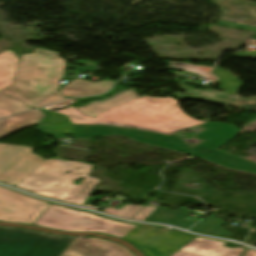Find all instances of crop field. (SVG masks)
<instances>
[{
    "label": "crop field",
    "instance_id": "1",
    "mask_svg": "<svg viewBox=\"0 0 256 256\" xmlns=\"http://www.w3.org/2000/svg\"><path fill=\"white\" fill-rule=\"evenodd\" d=\"M198 126L206 130L194 137L206 141L192 149L175 134L164 136L148 131L104 125H73V131L74 138L86 140L93 137L121 135L137 142L172 149L187 155L198 156L207 162L227 169L256 174V163L217 150L238 135L237 127L217 123H207Z\"/></svg>",
    "mask_w": 256,
    "mask_h": 256
},
{
    "label": "crop field",
    "instance_id": "2",
    "mask_svg": "<svg viewBox=\"0 0 256 256\" xmlns=\"http://www.w3.org/2000/svg\"><path fill=\"white\" fill-rule=\"evenodd\" d=\"M76 102L79 101L77 99L66 100L45 109L53 111L69 105L71 107L56 112L68 116L72 123L121 125L153 130L164 134H173L187 127L206 123L194 120L182 113L183 111L181 112L178 102L169 97L152 98L146 96L137 98L113 107L97 115L95 119L80 114L71 105Z\"/></svg>",
    "mask_w": 256,
    "mask_h": 256
},
{
    "label": "crop field",
    "instance_id": "3",
    "mask_svg": "<svg viewBox=\"0 0 256 256\" xmlns=\"http://www.w3.org/2000/svg\"><path fill=\"white\" fill-rule=\"evenodd\" d=\"M20 59L13 85L2 92L34 108L64 99L56 89L66 61L57 52L35 49L33 54H22Z\"/></svg>",
    "mask_w": 256,
    "mask_h": 256
},
{
    "label": "crop field",
    "instance_id": "4",
    "mask_svg": "<svg viewBox=\"0 0 256 256\" xmlns=\"http://www.w3.org/2000/svg\"><path fill=\"white\" fill-rule=\"evenodd\" d=\"M92 169V165L85 163L48 159L16 187L48 198L83 206L84 200L100 181L88 176ZM67 171L70 173L66 174ZM79 177L85 178L84 181L80 185L73 184ZM56 184L57 187L54 186ZM83 207L99 210L103 205L97 208L85 204Z\"/></svg>",
    "mask_w": 256,
    "mask_h": 256
},
{
    "label": "crop field",
    "instance_id": "5",
    "mask_svg": "<svg viewBox=\"0 0 256 256\" xmlns=\"http://www.w3.org/2000/svg\"><path fill=\"white\" fill-rule=\"evenodd\" d=\"M75 238L0 227V256H62Z\"/></svg>",
    "mask_w": 256,
    "mask_h": 256
},
{
    "label": "crop field",
    "instance_id": "6",
    "mask_svg": "<svg viewBox=\"0 0 256 256\" xmlns=\"http://www.w3.org/2000/svg\"><path fill=\"white\" fill-rule=\"evenodd\" d=\"M35 225L62 231L100 232L120 238L136 227L53 203L40 216Z\"/></svg>",
    "mask_w": 256,
    "mask_h": 256
},
{
    "label": "crop field",
    "instance_id": "7",
    "mask_svg": "<svg viewBox=\"0 0 256 256\" xmlns=\"http://www.w3.org/2000/svg\"><path fill=\"white\" fill-rule=\"evenodd\" d=\"M194 236L175 229L139 224L122 239L136 244L147 256H170Z\"/></svg>",
    "mask_w": 256,
    "mask_h": 256
},
{
    "label": "crop field",
    "instance_id": "8",
    "mask_svg": "<svg viewBox=\"0 0 256 256\" xmlns=\"http://www.w3.org/2000/svg\"><path fill=\"white\" fill-rule=\"evenodd\" d=\"M32 147L0 144V182L15 186L45 159Z\"/></svg>",
    "mask_w": 256,
    "mask_h": 256
},
{
    "label": "crop field",
    "instance_id": "9",
    "mask_svg": "<svg viewBox=\"0 0 256 256\" xmlns=\"http://www.w3.org/2000/svg\"><path fill=\"white\" fill-rule=\"evenodd\" d=\"M49 204L0 187V221L33 225Z\"/></svg>",
    "mask_w": 256,
    "mask_h": 256
},
{
    "label": "crop field",
    "instance_id": "10",
    "mask_svg": "<svg viewBox=\"0 0 256 256\" xmlns=\"http://www.w3.org/2000/svg\"><path fill=\"white\" fill-rule=\"evenodd\" d=\"M213 74L220 78L219 82H221V89H226L228 91L227 94L220 93L214 90H207L206 92H202L199 90L189 88L182 83H179V85L185 92L189 93L190 95L196 98L220 105L231 104L234 106H239L246 110L256 112V97L241 98L232 95L242 85L240 80L236 76L223 69H214Z\"/></svg>",
    "mask_w": 256,
    "mask_h": 256
},
{
    "label": "crop field",
    "instance_id": "11",
    "mask_svg": "<svg viewBox=\"0 0 256 256\" xmlns=\"http://www.w3.org/2000/svg\"><path fill=\"white\" fill-rule=\"evenodd\" d=\"M63 256H135L127 248L110 241L77 237Z\"/></svg>",
    "mask_w": 256,
    "mask_h": 256
},
{
    "label": "crop field",
    "instance_id": "12",
    "mask_svg": "<svg viewBox=\"0 0 256 256\" xmlns=\"http://www.w3.org/2000/svg\"><path fill=\"white\" fill-rule=\"evenodd\" d=\"M224 241L196 236L171 256H241L244 249L223 246Z\"/></svg>",
    "mask_w": 256,
    "mask_h": 256
},
{
    "label": "crop field",
    "instance_id": "13",
    "mask_svg": "<svg viewBox=\"0 0 256 256\" xmlns=\"http://www.w3.org/2000/svg\"><path fill=\"white\" fill-rule=\"evenodd\" d=\"M137 97L139 96L136 94L135 90L129 89V90L120 92L119 94L114 95L104 101H92L88 103L86 106L78 107L77 110L86 116L95 118V116L98 113Z\"/></svg>",
    "mask_w": 256,
    "mask_h": 256
},
{
    "label": "crop field",
    "instance_id": "14",
    "mask_svg": "<svg viewBox=\"0 0 256 256\" xmlns=\"http://www.w3.org/2000/svg\"><path fill=\"white\" fill-rule=\"evenodd\" d=\"M191 210L179 207L172 211L166 207H157L144 221L165 222L184 229H187L195 222L183 219Z\"/></svg>",
    "mask_w": 256,
    "mask_h": 256
},
{
    "label": "crop field",
    "instance_id": "15",
    "mask_svg": "<svg viewBox=\"0 0 256 256\" xmlns=\"http://www.w3.org/2000/svg\"><path fill=\"white\" fill-rule=\"evenodd\" d=\"M113 84V82H89L77 79L62 88L61 92L69 97H82L105 92Z\"/></svg>",
    "mask_w": 256,
    "mask_h": 256
},
{
    "label": "crop field",
    "instance_id": "16",
    "mask_svg": "<svg viewBox=\"0 0 256 256\" xmlns=\"http://www.w3.org/2000/svg\"><path fill=\"white\" fill-rule=\"evenodd\" d=\"M45 115L39 110L1 119L0 120V138L5 137L8 133L19 130L42 120Z\"/></svg>",
    "mask_w": 256,
    "mask_h": 256
},
{
    "label": "crop field",
    "instance_id": "17",
    "mask_svg": "<svg viewBox=\"0 0 256 256\" xmlns=\"http://www.w3.org/2000/svg\"><path fill=\"white\" fill-rule=\"evenodd\" d=\"M18 62V58L10 50L0 54V90L13 83Z\"/></svg>",
    "mask_w": 256,
    "mask_h": 256
},
{
    "label": "crop field",
    "instance_id": "18",
    "mask_svg": "<svg viewBox=\"0 0 256 256\" xmlns=\"http://www.w3.org/2000/svg\"><path fill=\"white\" fill-rule=\"evenodd\" d=\"M224 224L226 223L220 220L219 218L210 215L207 218L203 219L190 230L201 234H209L227 238L232 233L220 227Z\"/></svg>",
    "mask_w": 256,
    "mask_h": 256
},
{
    "label": "crop field",
    "instance_id": "19",
    "mask_svg": "<svg viewBox=\"0 0 256 256\" xmlns=\"http://www.w3.org/2000/svg\"><path fill=\"white\" fill-rule=\"evenodd\" d=\"M169 63H170L169 68L180 69L183 71L192 72V73L199 75L200 77L216 80V77L210 75V70L212 69L210 67L193 66V65L182 64V63H177V62H172V61H170Z\"/></svg>",
    "mask_w": 256,
    "mask_h": 256
},
{
    "label": "crop field",
    "instance_id": "20",
    "mask_svg": "<svg viewBox=\"0 0 256 256\" xmlns=\"http://www.w3.org/2000/svg\"><path fill=\"white\" fill-rule=\"evenodd\" d=\"M0 108L14 112V113L34 109L29 106H26L24 103L20 101H17L13 98L8 97L7 95L1 92H0Z\"/></svg>",
    "mask_w": 256,
    "mask_h": 256
},
{
    "label": "crop field",
    "instance_id": "21",
    "mask_svg": "<svg viewBox=\"0 0 256 256\" xmlns=\"http://www.w3.org/2000/svg\"><path fill=\"white\" fill-rule=\"evenodd\" d=\"M144 206H137V205H125L123 208L120 210L117 209H111V208H106L104 213L111 214L117 217L121 218H126L130 219L133 217L140 209H142Z\"/></svg>",
    "mask_w": 256,
    "mask_h": 256
},
{
    "label": "crop field",
    "instance_id": "22",
    "mask_svg": "<svg viewBox=\"0 0 256 256\" xmlns=\"http://www.w3.org/2000/svg\"><path fill=\"white\" fill-rule=\"evenodd\" d=\"M218 23L224 24V25H229V26H234V27H238V28H243V29H251V30L256 31V29H254L253 27H249V26H245V25H239V24L222 22V21H219ZM237 55H256V51L237 52Z\"/></svg>",
    "mask_w": 256,
    "mask_h": 256
},
{
    "label": "crop field",
    "instance_id": "23",
    "mask_svg": "<svg viewBox=\"0 0 256 256\" xmlns=\"http://www.w3.org/2000/svg\"><path fill=\"white\" fill-rule=\"evenodd\" d=\"M77 63L84 65L85 67L69 66V68L84 70L87 72H96V70H97V65L92 62L81 63V62L77 61Z\"/></svg>",
    "mask_w": 256,
    "mask_h": 256
},
{
    "label": "crop field",
    "instance_id": "24",
    "mask_svg": "<svg viewBox=\"0 0 256 256\" xmlns=\"http://www.w3.org/2000/svg\"><path fill=\"white\" fill-rule=\"evenodd\" d=\"M155 208L156 207L145 206L143 210L133 218V220L143 221Z\"/></svg>",
    "mask_w": 256,
    "mask_h": 256
},
{
    "label": "crop field",
    "instance_id": "25",
    "mask_svg": "<svg viewBox=\"0 0 256 256\" xmlns=\"http://www.w3.org/2000/svg\"><path fill=\"white\" fill-rule=\"evenodd\" d=\"M243 256H256V251L248 249Z\"/></svg>",
    "mask_w": 256,
    "mask_h": 256
},
{
    "label": "crop field",
    "instance_id": "26",
    "mask_svg": "<svg viewBox=\"0 0 256 256\" xmlns=\"http://www.w3.org/2000/svg\"><path fill=\"white\" fill-rule=\"evenodd\" d=\"M11 114H14V113H11V112L0 109V118L4 117V116L11 115Z\"/></svg>",
    "mask_w": 256,
    "mask_h": 256
},
{
    "label": "crop field",
    "instance_id": "27",
    "mask_svg": "<svg viewBox=\"0 0 256 256\" xmlns=\"http://www.w3.org/2000/svg\"><path fill=\"white\" fill-rule=\"evenodd\" d=\"M117 85H118V84H116L115 87H114L112 90H110L108 93L113 92V91L116 89V86H117ZM108 93H106V94H108ZM104 95H105V94H104ZM104 95H101V96H98V97H102V96H104ZM86 99H88V98H86ZM86 99H78V100L83 101V100H86Z\"/></svg>",
    "mask_w": 256,
    "mask_h": 256
},
{
    "label": "crop field",
    "instance_id": "28",
    "mask_svg": "<svg viewBox=\"0 0 256 256\" xmlns=\"http://www.w3.org/2000/svg\"><path fill=\"white\" fill-rule=\"evenodd\" d=\"M250 58H256V57H250Z\"/></svg>",
    "mask_w": 256,
    "mask_h": 256
}]
</instances>
